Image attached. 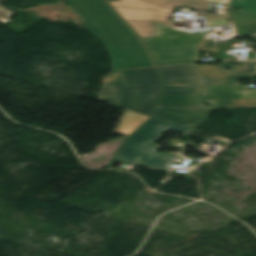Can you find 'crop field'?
I'll list each match as a JSON object with an SVG mask.
<instances>
[{"label": "crop field", "instance_id": "1", "mask_svg": "<svg viewBox=\"0 0 256 256\" xmlns=\"http://www.w3.org/2000/svg\"><path fill=\"white\" fill-rule=\"evenodd\" d=\"M84 26L108 46L113 70L155 66L128 25L106 3L108 0H65Z\"/></svg>", "mask_w": 256, "mask_h": 256}, {"label": "crop field", "instance_id": "2", "mask_svg": "<svg viewBox=\"0 0 256 256\" xmlns=\"http://www.w3.org/2000/svg\"><path fill=\"white\" fill-rule=\"evenodd\" d=\"M101 80L100 101L150 116L159 93L157 68L111 72Z\"/></svg>", "mask_w": 256, "mask_h": 256}, {"label": "crop field", "instance_id": "3", "mask_svg": "<svg viewBox=\"0 0 256 256\" xmlns=\"http://www.w3.org/2000/svg\"><path fill=\"white\" fill-rule=\"evenodd\" d=\"M123 19L141 37L155 36V23L173 27L166 17L171 6H190L195 10L212 11L214 2L206 0H119L110 2Z\"/></svg>", "mask_w": 256, "mask_h": 256}, {"label": "crop field", "instance_id": "4", "mask_svg": "<svg viewBox=\"0 0 256 256\" xmlns=\"http://www.w3.org/2000/svg\"><path fill=\"white\" fill-rule=\"evenodd\" d=\"M169 129L184 134L193 130L151 118L129 137L116 158L124 160L128 165L168 170L177 156L154 152L158 146L150 142Z\"/></svg>", "mask_w": 256, "mask_h": 256}, {"label": "crop field", "instance_id": "5", "mask_svg": "<svg viewBox=\"0 0 256 256\" xmlns=\"http://www.w3.org/2000/svg\"><path fill=\"white\" fill-rule=\"evenodd\" d=\"M221 64L208 67L204 64L189 65L201 79L161 78L163 91L161 95H207L203 84H238L236 80L256 77L255 61H240L235 64ZM229 67L230 72L222 69ZM197 92H201L197 94Z\"/></svg>", "mask_w": 256, "mask_h": 256}, {"label": "crop field", "instance_id": "6", "mask_svg": "<svg viewBox=\"0 0 256 256\" xmlns=\"http://www.w3.org/2000/svg\"><path fill=\"white\" fill-rule=\"evenodd\" d=\"M202 37L156 24V36L143 39L157 66L201 61L196 50Z\"/></svg>", "mask_w": 256, "mask_h": 256}, {"label": "crop field", "instance_id": "7", "mask_svg": "<svg viewBox=\"0 0 256 256\" xmlns=\"http://www.w3.org/2000/svg\"><path fill=\"white\" fill-rule=\"evenodd\" d=\"M206 105H158L154 117L165 119L191 128L207 119L210 111L220 108H256V100L205 101ZM204 108L205 110H201Z\"/></svg>", "mask_w": 256, "mask_h": 256}, {"label": "crop field", "instance_id": "8", "mask_svg": "<svg viewBox=\"0 0 256 256\" xmlns=\"http://www.w3.org/2000/svg\"><path fill=\"white\" fill-rule=\"evenodd\" d=\"M208 96H161L158 104H204L203 100L256 99V89L246 85H204Z\"/></svg>", "mask_w": 256, "mask_h": 256}, {"label": "crop field", "instance_id": "9", "mask_svg": "<svg viewBox=\"0 0 256 256\" xmlns=\"http://www.w3.org/2000/svg\"><path fill=\"white\" fill-rule=\"evenodd\" d=\"M226 14L235 24L238 34H253L250 24H256V15L228 7Z\"/></svg>", "mask_w": 256, "mask_h": 256}, {"label": "crop field", "instance_id": "10", "mask_svg": "<svg viewBox=\"0 0 256 256\" xmlns=\"http://www.w3.org/2000/svg\"><path fill=\"white\" fill-rule=\"evenodd\" d=\"M147 118L149 117L127 110L121 118L122 124L119 125L115 132L129 135Z\"/></svg>", "mask_w": 256, "mask_h": 256}, {"label": "crop field", "instance_id": "11", "mask_svg": "<svg viewBox=\"0 0 256 256\" xmlns=\"http://www.w3.org/2000/svg\"><path fill=\"white\" fill-rule=\"evenodd\" d=\"M161 77L199 78L188 65L159 68Z\"/></svg>", "mask_w": 256, "mask_h": 256}, {"label": "crop field", "instance_id": "12", "mask_svg": "<svg viewBox=\"0 0 256 256\" xmlns=\"http://www.w3.org/2000/svg\"><path fill=\"white\" fill-rule=\"evenodd\" d=\"M230 6L256 13V0H231Z\"/></svg>", "mask_w": 256, "mask_h": 256}, {"label": "crop field", "instance_id": "13", "mask_svg": "<svg viewBox=\"0 0 256 256\" xmlns=\"http://www.w3.org/2000/svg\"><path fill=\"white\" fill-rule=\"evenodd\" d=\"M211 27L231 25L224 14H208Z\"/></svg>", "mask_w": 256, "mask_h": 256}, {"label": "crop field", "instance_id": "14", "mask_svg": "<svg viewBox=\"0 0 256 256\" xmlns=\"http://www.w3.org/2000/svg\"><path fill=\"white\" fill-rule=\"evenodd\" d=\"M15 14L14 12L10 11L9 9L5 8L4 6L0 5V22L6 24L11 22L10 17Z\"/></svg>", "mask_w": 256, "mask_h": 256}, {"label": "crop field", "instance_id": "15", "mask_svg": "<svg viewBox=\"0 0 256 256\" xmlns=\"http://www.w3.org/2000/svg\"><path fill=\"white\" fill-rule=\"evenodd\" d=\"M221 4H227L228 0H210Z\"/></svg>", "mask_w": 256, "mask_h": 256}, {"label": "crop field", "instance_id": "16", "mask_svg": "<svg viewBox=\"0 0 256 256\" xmlns=\"http://www.w3.org/2000/svg\"><path fill=\"white\" fill-rule=\"evenodd\" d=\"M252 38L256 40V36H252Z\"/></svg>", "mask_w": 256, "mask_h": 256}]
</instances>
